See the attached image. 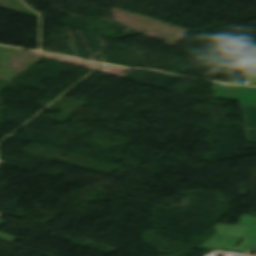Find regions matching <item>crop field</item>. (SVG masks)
Here are the masks:
<instances>
[{
	"mask_svg": "<svg viewBox=\"0 0 256 256\" xmlns=\"http://www.w3.org/2000/svg\"><path fill=\"white\" fill-rule=\"evenodd\" d=\"M218 231L201 247L231 251L256 252V217L243 215L238 226L216 224ZM244 238L238 248V240Z\"/></svg>",
	"mask_w": 256,
	"mask_h": 256,
	"instance_id": "obj_1",
	"label": "crop field"
},
{
	"mask_svg": "<svg viewBox=\"0 0 256 256\" xmlns=\"http://www.w3.org/2000/svg\"><path fill=\"white\" fill-rule=\"evenodd\" d=\"M244 111L245 126L256 129V108L241 106Z\"/></svg>",
	"mask_w": 256,
	"mask_h": 256,
	"instance_id": "obj_2",
	"label": "crop field"
},
{
	"mask_svg": "<svg viewBox=\"0 0 256 256\" xmlns=\"http://www.w3.org/2000/svg\"><path fill=\"white\" fill-rule=\"evenodd\" d=\"M246 85H256V60L251 62Z\"/></svg>",
	"mask_w": 256,
	"mask_h": 256,
	"instance_id": "obj_3",
	"label": "crop field"
},
{
	"mask_svg": "<svg viewBox=\"0 0 256 256\" xmlns=\"http://www.w3.org/2000/svg\"><path fill=\"white\" fill-rule=\"evenodd\" d=\"M246 130H247L249 143H255L256 144V130L247 129V128H246Z\"/></svg>",
	"mask_w": 256,
	"mask_h": 256,
	"instance_id": "obj_4",
	"label": "crop field"
},
{
	"mask_svg": "<svg viewBox=\"0 0 256 256\" xmlns=\"http://www.w3.org/2000/svg\"><path fill=\"white\" fill-rule=\"evenodd\" d=\"M2 222H3V221H0V224H1ZM0 238L6 239V240L11 241V242H13V241H15V240L18 239V238L9 236V235L4 234V233H1V232H0Z\"/></svg>",
	"mask_w": 256,
	"mask_h": 256,
	"instance_id": "obj_5",
	"label": "crop field"
}]
</instances>
